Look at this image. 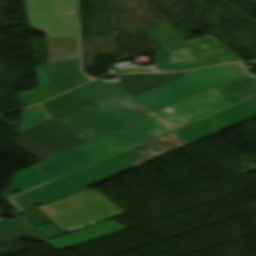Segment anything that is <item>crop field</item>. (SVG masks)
Returning <instances> with one entry per match:
<instances>
[{
  "mask_svg": "<svg viewBox=\"0 0 256 256\" xmlns=\"http://www.w3.org/2000/svg\"><path fill=\"white\" fill-rule=\"evenodd\" d=\"M120 81L94 80L42 104L50 117L61 119L93 103L133 124L176 103L157 74L119 75Z\"/></svg>",
  "mask_w": 256,
  "mask_h": 256,
  "instance_id": "1",
  "label": "crop field"
},
{
  "mask_svg": "<svg viewBox=\"0 0 256 256\" xmlns=\"http://www.w3.org/2000/svg\"><path fill=\"white\" fill-rule=\"evenodd\" d=\"M63 194L50 183L23 193L24 196L37 206L63 198L65 197Z\"/></svg>",
  "mask_w": 256,
  "mask_h": 256,
  "instance_id": "14",
  "label": "crop field"
},
{
  "mask_svg": "<svg viewBox=\"0 0 256 256\" xmlns=\"http://www.w3.org/2000/svg\"><path fill=\"white\" fill-rule=\"evenodd\" d=\"M28 218L23 219L26 223H28L31 227L39 225L41 223L47 222L42 216H40L34 210H30L27 212H23Z\"/></svg>",
  "mask_w": 256,
  "mask_h": 256,
  "instance_id": "18",
  "label": "crop field"
},
{
  "mask_svg": "<svg viewBox=\"0 0 256 256\" xmlns=\"http://www.w3.org/2000/svg\"><path fill=\"white\" fill-rule=\"evenodd\" d=\"M36 231H38L40 234H42L44 237L48 238L54 235L61 234L60 231H58L54 226H52L50 223L44 224L41 226L33 227Z\"/></svg>",
  "mask_w": 256,
  "mask_h": 256,
  "instance_id": "19",
  "label": "crop field"
},
{
  "mask_svg": "<svg viewBox=\"0 0 256 256\" xmlns=\"http://www.w3.org/2000/svg\"><path fill=\"white\" fill-rule=\"evenodd\" d=\"M22 111H23V126L21 128L14 130L17 133L47 119V116L43 112L40 105L30 107Z\"/></svg>",
  "mask_w": 256,
  "mask_h": 256,
  "instance_id": "16",
  "label": "crop field"
},
{
  "mask_svg": "<svg viewBox=\"0 0 256 256\" xmlns=\"http://www.w3.org/2000/svg\"><path fill=\"white\" fill-rule=\"evenodd\" d=\"M78 60V59H76ZM76 60H70V61H76ZM70 61H64V62H58V63H52V64H46V65H42V66H38V67H44V66H49V65H54V64H60V63H65V62H70ZM36 67V68H38Z\"/></svg>",
  "mask_w": 256,
  "mask_h": 256,
  "instance_id": "23",
  "label": "crop field"
},
{
  "mask_svg": "<svg viewBox=\"0 0 256 256\" xmlns=\"http://www.w3.org/2000/svg\"><path fill=\"white\" fill-rule=\"evenodd\" d=\"M61 120L94 139L130 125L95 104Z\"/></svg>",
  "mask_w": 256,
  "mask_h": 256,
  "instance_id": "11",
  "label": "crop field"
},
{
  "mask_svg": "<svg viewBox=\"0 0 256 256\" xmlns=\"http://www.w3.org/2000/svg\"><path fill=\"white\" fill-rule=\"evenodd\" d=\"M25 5L31 28L47 38L77 37L74 0H25Z\"/></svg>",
  "mask_w": 256,
  "mask_h": 256,
  "instance_id": "9",
  "label": "crop field"
},
{
  "mask_svg": "<svg viewBox=\"0 0 256 256\" xmlns=\"http://www.w3.org/2000/svg\"><path fill=\"white\" fill-rule=\"evenodd\" d=\"M239 61V58L209 35L158 51L154 66L158 71H182Z\"/></svg>",
  "mask_w": 256,
  "mask_h": 256,
  "instance_id": "6",
  "label": "crop field"
},
{
  "mask_svg": "<svg viewBox=\"0 0 256 256\" xmlns=\"http://www.w3.org/2000/svg\"><path fill=\"white\" fill-rule=\"evenodd\" d=\"M12 201H13L14 203H16V204H17L20 208H22L23 210L36 207V205H34L31 201H29V200H28L26 197H24L23 195L17 196V197H15V198H13Z\"/></svg>",
  "mask_w": 256,
  "mask_h": 256,
  "instance_id": "21",
  "label": "crop field"
},
{
  "mask_svg": "<svg viewBox=\"0 0 256 256\" xmlns=\"http://www.w3.org/2000/svg\"><path fill=\"white\" fill-rule=\"evenodd\" d=\"M39 87L19 93L26 106L32 105L78 86L89 79L79 72V62L36 69Z\"/></svg>",
  "mask_w": 256,
  "mask_h": 256,
  "instance_id": "10",
  "label": "crop field"
},
{
  "mask_svg": "<svg viewBox=\"0 0 256 256\" xmlns=\"http://www.w3.org/2000/svg\"><path fill=\"white\" fill-rule=\"evenodd\" d=\"M254 95L256 75L252 74L155 112L153 115L173 130Z\"/></svg>",
  "mask_w": 256,
  "mask_h": 256,
  "instance_id": "4",
  "label": "crop field"
},
{
  "mask_svg": "<svg viewBox=\"0 0 256 256\" xmlns=\"http://www.w3.org/2000/svg\"><path fill=\"white\" fill-rule=\"evenodd\" d=\"M20 226L23 224L18 220L2 219L0 220V233Z\"/></svg>",
  "mask_w": 256,
  "mask_h": 256,
  "instance_id": "20",
  "label": "crop field"
},
{
  "mask_svg": "<svg viewBox=\"0 0 256 256\" xmlns=\"http://www.w3.org/2000/svg\"><path fill=\"white\" fill-rule=\"evenodd\" d=\"M129 72H153V70L146 69V68H135V69L129 70Z\"/></svg>",
  "mask_w": 256,
  "mask_h": 256,
  "instance_id": "22",
  "label": "crop field"
},
{
  "mask_svg": "<svg viewBox=\"0 0 256 256\" xmlns=\"http://www.w3.org/2000/svg\"><path fill=\"white\" fill-rule=\"evenodd\" d=\"M36 210L64 233L124 213L100 192L87 189Z\"/></svg>",
  "mask_w": 256,
  "mask_h": 256,
  "instance_id": "5",
  "label": "crop field"
},
{
  "mask_svg": "<svg viewBox=\"0 0 256 256\" xmlns=\"http://www.w3.org/2000/svg\"><path fill=\"white\" fill-rule=\"evenodd\" d=\"M13 175L17 176L18 179H14L12 181L16 183L24 191L47 182L46 179H44L40 174H38L31 167L24 169L22 171L16 172Z\"/></svg>",
  "mask_w": 256,
  "mask_h": 256,
  "instance_id": "15",
  "label": "crop field"
},
{
  "mask_svg": "<svg viewBox=\"0 0 256 256\" xmlns=\"http://www.w3.org/2000/svg\"><path fill=\"white\" fill-rule=\"evenodd\" d=\"M12 142L19 149L44 161L92 140L85 134L52 118L21 133Z\"/></svg>",
  "mask_w": 256,
  "mask_h": 256,
  "instance_id": "7",
  "label": "crop field"
},
{
  "mask_svg": "<svg viewBox=\"0 0 256 256\" xmlns=\"http://www.w3.org/2000/svg\"><path fill=\"white\" fill-rule=\"evenodd\" d=\"M129 69H131V68H129Z\"/></svg>",
  "mask_w": 256,
  "mask_h": 256,
  "instance_id": "24",
  "label": "crop field"
},
{
  "mask_svg": "<svg viewBox=\"0 0 256 256\" xmlns=\"http://www.w3.org/2000/svg\"><path fill=\"white\" fill-rule=\"evenodd\" d=\"M246 74L249 72L243 64H235L158 75L179 102L232 78Z\"/></svg>",
  "mask_w": 256,
  "mask_h": 256,
  "instance_id": "8",
  "label": "crop field"
},
{
  "mask_svg": "<svg viewBox=\"0 0 256 256\" xmlns=\"http://www.w3.org/2000/svg\"><path fill=\"white\" fill-rule=\"evenodd\" d=\"M254 116H256V97L172 132L176 137L174 140L158 137L104 161L54 180L52 183L69 196ZM177 140L186 144L180 146L176 142ZM153 146H157L163 151L151 154L149 148Z\"/></svg>",
  "mask_w": 256,
  "mask_h": 256,
  "instance_id": "2",
  "label": "crop field"
},
{
  "mask_svg": "<svg viewBox=\"0 0 256 256\" xmlns=\"http://www.w3.org/2000/svg\"><path fill=\"white\" fill-rule=\"evenodd\" d=\"M47 43L49 63L78 58L76 38L47 39Z\"/></svg>",
  "mask_w": 256,
  "mask_h": 256,
  "instance_id": "13",
  "label": "crop field"
},
{
  "mask_svg": "<svg viewBox=\"0 0 256 256\" xmlns=\"http://www.w3.org/2000/svg\"><path fill=\"white\" fill-rule=\"evenodd\" d=\"M126 229L125 227L109 220L91 227H87L55 239L43 242L58 250L69 248L120 230Z\"/></svg>",
  "mask_w": 256,
  "mask_h": 256,
  "instance_id": "12",
  "label": "crop field"
},
{
  "mask_svg": "<svg viewBox=\"0 0 256 256\" xmlns=\"http://www.w3.org/2000/svg\"><path fill=\"white\" fill-rule=\"evenodd\" d=\"M171 131L151 117L116 133L102 137L41 162L33 168L49 180L79 169L125 148Z\"/></svg>",
  "mask_w": 256,
  "mask_h": 256,
  "instance_id": "3",
  "label": "crop field"
},
{
  "mask_svg": "<svg viewBox=\"0 0 256 256\" xmlns=\"http://www.w3.org/2000/svg\"><path fill=\"white\" fill-rule=\"evenodd\" d=\"M18 238H27L32 240H42L30 229L23 227L13 231H9L3 234H0V243L18 239Z\"/></svg>",
  "mask_w": 256,
  "mask_h": 256,
  "instance_id": "17",
  "label": "crop field"
}]
</instances>
